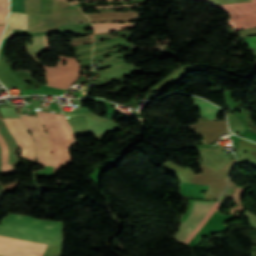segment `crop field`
I'll return each instance as SVG.
<instances>
[{
    "label": "crop field",
    "mask_w": 256,
    "mask_h": 256,
    "mask_svg": "<svg viewBox=\"0 0 256 256\" xmlns=\"http://www.w3.org/2000/svg\"><path fill=\"white\" fill-rule=\"evenodd\" d=\"M64 222L46 221L13 213L0 224V234L62 246Z\"/></svg>",
    "instance_id": "8a807250"
},
{
    "label": "crop field",
    "mask_w": 256,
    "mask_h": 256,
    "mask_svg": "<svg viewBox=\"0 0 256 256\" xmlns=\"http://www.w3.org/2000/svg\"><path fill=\"white\" fill-rule=\"evenodd\" d=\"M32 39V45L26 43L25 48L31 58L39 65L45 67V80L48 82L47 85L67 90L80 75V64L76 61V58L58 56L60 59L58 65L55 67H47L37 59L41 53L47 51V48L48 51L50 50L47 38V48L44 36H32ZM63 61L67 62L64 66H62Z\"/></svg>",
    "instance_id": "ac0d7876"
},
{
    "label": "crop field",
    "mask_w": 256,
    "mask_h": 256,
    "mask_svg": "<svg viewBox=\"0 0 256 256\" xmlns=\"http://www.w3.org/2000/svg\"><path fill=\"white\" fill-rule=\"evenodd\" d=\"M36 112L50 135L54 157V172H57L62 165L70 163L71 156L68 149L74 143L73 133L64 115ZM57 167L59 169L55 171Z\"/></svg>",
    "instance_id": "34b2d1b8"
},
{
    "label": "crop field",
    "mask_w": 256,
    "mask_h": 256,
    "mask_svg": "<svg viewBox=\"0 0 256 256\" xmlns=\"http://www.w3.org/2000/svg\"><path fill=\"white\" fill-rule=\"evenodd\" d=\"M218 205V202L196 201L190 217L181 222L179 231L173 238L188 244L214 213Z\"/></svg>",
    "instance_id": "412701ff"
},
{
    "label": "crop field",
    "mask_w": 256,
    "mask_h": 256,
    "mask_svg": "<svg viewBox=\"0 0 256 256\" xmlns=\"http://www.w3.org/2000/svg\"><path fill=\"white\" fill-rule=\"evenodd\" d=\"M207 1L216 8L224 9L231 16L229 23L234 27L233 31L242 30L256 26V0L242 3H234L216 6L209 0Z\"/></svg>",
    "instance_id": "f4fd0767"
},
{
    "label": "crop field",
    "mask_w": 256,
    "mask_h": 256,
    "mask_svg": "<svg viewBox=\"0 0 256 256\" xmlns=\"http://www.w3.org/2000/svg\"><path fill=\"white\" fill-rule=\"evenodd\" d=\"M22 117V115H21ZM35 139L38 162L43 165L53 166L52 149L48 134H45L44 128L41 125L38 117L24 116ZM22 117V119H23ZM23 119L27 129L28 126Z\"/></svg>",
    "instance_id": "dd49c442"
},
{
    "label": "crop field",
    "mask_w": 256,
    "mask_h": 256,
    "mask_svg": "<svg viewBox=\"0 0 256 256\" xmlns=\"http://www.w3.org/2000/svg\"><path fill=\"white\" fill-rule=\"evenodd\" d=\"M9 131L17 142L18 147L22 149V158L27 160H36L34 143L31 135L27 132L21 118L3 119Z\"/></svg>",
    "instance_id": "e52e79f7"
},
{
    "label": "crop field",
    "mask_w": 256,
    "mask_h": 256,
    "mask_svg": "<svg viewBox=\"0 0 256 256\" xmlns=\"http://www.w3.org/2000/svg\"><path fill=\"white\" fill-rule=\"evenodd\" d=\"M0 133L2 134L9 150V172H14V162H18V159L13 155L14 148L17 146L12 136L5 127L1 117H0ZM0 134V146L2 149V172L8 174V150L7 146Z\"/></svg>",
    "instance_id": "d8731c3e"
},
{
    "label": "crop field",
    "mask_w": 256,
    "mask_h": 256,
    "mask_svg": "<svg viewBox=\"0 0 256 256\" xmlns=\"http://www.w3.org/2000/svg\"><path fill=\"white\" fill-rule=\"evenodd\" d=\"M13 29L28 30L27 14L11 12L4 39L13 36Z\"/></svg>",
    "instance_id": "5a996713"
},
{
    "label": "crop field",
    "mask_w": 256,
    "mask_h": 256,
    "mask_svg": "<svg viewBox=\"0 0 256 256\" xmlns=\"http://www.w3.org/2000/svg\"><path fill=\"white\" fill-rule=\"evenodd\" d=\"M194 100H195L194 107L200 108L201 116L207 117L209 119H215L217 115L222 112L219 108L211 105L210 103L202 99L194 97Z\"/></svg>",
    "instance_id": "3316defc"
},
{
    "label": "crop field",
    "mask_w": 256,
    "mask_h": 256,
    "mask_svg": "<svg viewBox=\"0 0 256 256\" xmlns=\"http://www.w3.org/2000/svg\"><path fill=\"white\" fill-rule=\"evenodd\" d=\"M135 22L127 23V24L97 23V24H93V30H94V34H97V33L116 31L121 29H129V28H134Z\"/></svg>",
    "instance_id": "28ad6ade"
},
{
    "label": "crop field",
    "mask_w": 256,
    "mask_h": 256,
    "mask_svg": "<svg viewBox=\"0 0 256 256\" xmlns=\"http://www.w3.org/2000/svg\"><path fill=\"white\" fill-rule=\"evenodd\" d=\"M237 148L240 150H245V151L256 156V144H254L250 141H247L243 138L240 139Z\"/></svg>",
    "instance_id": "d1516ede"
},
{
    "label": "crop field",
    "mask_w": 256,
    "mask_h": 256,
    "mask_svg": "<svg viewBox=\"0 0 256 256\" xmlns=\"http://www.w3.org/2000/svg\"><path fill=\"white\" fill-rule=\"evenodd\" d=\"M8 0H0V24H4L7 16Z\"/></svg>",
    "instance_id": "22f410ed"
},
{
    "label": "crop field",
    "mask_w": 256,
    "mask_h": 256,
    "mask_svg": "<svg viewBox=\"0 0 256 256\" xmlns=\"http://www.w3.org/2000/svg\"><path fill=\"white\" fill-rule=\"evenodd\" d=\"M73 44L75 45H79V44H84V43H90L92 42V35L90 36H86V37H82V38H72Z\"/></svg>",
    "instance_id": "cbeb9de0"
},
{
    "label": "crop field",
    "mask_w": 256,
    "mask_h": 256,
    "mask_svg": "<svg viewBox=\"0 0 256 256\" xmlns=\"http://www.w3.org/2000/svg\"><path fill=\"white\" fill-rule=\"evenodd\" d=\"M144 2H137V3H133L131 5H122V6H112V5H108V6H87V7H81V9L84 8H88V7H97V8H123V7H130V6H134V5H142Z\"/></svg>",
    "instance_id": "5142ce71"
},
{
    "label": "crop field",
    "mask_w": 256,
    "mask_h": 256,
    "mask_svg": "<svg viewBox=\"0 0 256 256\" xmlns=\"http://www.w3.org/2000/svg\"><path fill=\"white\" fill-rule=\"evenodd\" d=\"M107 38H113V36H111L109 33L94 35V41H98L100 39H107Z\"/></svg>",
    "instance_id": "d9b57169"
},
{
    "label": "crop field",
    "mask_w": 256,
    "mask_h": 256,
    "mask_svg": "<svg viewBox=\"0 0 256 256\" xmlns=\"http://www.w3.org/2000/svg\"><path fill=\"white\" fill-rule=\"evenodd\" d=\"M123 66H134V65H131V64H121V65L112 66L111 68H108V69H104L103 71H94L92 73H103V72H106V71H109V70H112V69H115V68H118V67H123Z\"/></svg>",
    "instance_id": "733c2abd"
},
{
    "label": "crop field",
    "mask_w": 256,
    "mask_h": 256,
    "mask_svg": "<svg viewBox=\"0 0 256 256\" xmlns=\"http://www.w3.org/2000/svg\"><path fill=\"white\" fill-rule=\"evenodd\" d=\"M17 184H18V181H16L14 184H12L10 186H5L4 189H5V191L15 190L17 188Z\"/></svg>",
    "instance_id": "4a817a6b"
},
{
    "label": "crop field",
    "mask_w": 256,
    "mask_h": 256,
    "mask_svg": "<svg viewBox=\"0 0 256 256\" xmlns=\"http://www.w3.org/2000/svg\"><path fill=\"white\" fill-rule=\"evenodd\" d=\"M89 1H113V0H86L84 2H89ZM72 4H76V3H81V2H77V1H71Z\"/></svg>",
    "instance_id": "bc2a9ffb"
},
{
    "label": "crop field",
    "mask_w": 256,
    "mask_h": 256,
    "mask_svg": "<svg viewBox=\"0 0 256 256\" xmlns=\"http://www.w3.org/2000/svg\"><path fill=\"white\" fill-rule=\"evenodd\" d=\"M124 58H125V57H122V58H119V59H113V60L107 61L106 63H102L100 66L105 65V64H108V63H112V62H114V61L123 60Z\"/></svg>",
    "instance_id": "214f88e0"
},
{
    "label": "crop field",
    "mask_w": 256,
    "mask_h": 256,
    "mask_svg": "<svg viewBox=\"0 0 256 256\" xmlns=\"http://www.w3.org/2000/svg\"><path fill=\"white\" fill-rule=\"evenodd\" d=\"M3 27L4 26H0V38H1L2 31H3Z\"/></svg>",
    "instance_id": "92a150f3"
},
{
    "label": "crop field",
    "mask_w": 256,
    "mask_h": 256,
    "mask_svg": "<svg viewBox=\"0 0 256 256\" xmlns=\"http://www.w3.org/2000/svg\"><path fill=\"white\" fill-rule=\"evenodd\" d=\"M0 172H1V150H0Z\"/></svg>",
    "instance_id": "dafd665d"
},
{
    "label": "crop field",
    "mask_w": 256,
    "mask_h": 256,
    "mask_svg": "<svg viewBox=\"0 0 256 256\" xmlns=\"http://www.w3.org/2000/svg\"><path fill=\"white\" fill-rule=\"evenodd\" d=\"M65 1H67V0H65Z\"/></svg>",
    "instance_id": "00972430"
}]
</instances>
